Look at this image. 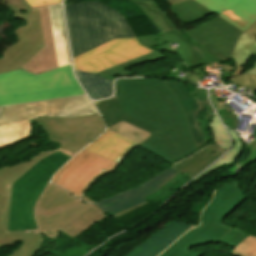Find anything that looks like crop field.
Masks as SVG:
<instances>
[{
  "mask_svg": "<svg viewBox=\"0 0 256 256\" xmlns=\"http://www.w3.org/2000/svg\"><path fill=\"white\" fill-rule=\"evenodd\" d=\"M241 31L256 21V4L251 0H195Z\"/></svg>",
  "mask_w": 256,
  "mask_h": 256,
  "instance_id": "crop-field-15",
  "label": "crop field"
},
{
  "mask_svg": "<svg viewBox=\"0 0 256 256\" xmlns=\"http://www.w3.org/2000/svg\"><path fill=\"white\" fill-rule=\"evenodd\" d=\"M247 236L248 234L245 231L233 228L230 232H228L224 237L220 239V242L235 248Z\"/></svg>",
  "mask_w": 256,
  "mask_h": 256,
  "instance_id": "crop-field-36",
  "label": "crop field"
},
{
  "mask_svg": "<svg viewBox=\"0 0 256 256\" xmlns=\"http://www.w3.org/2000/svg\"><path fill=\"white\" fill-rule=\"evenodd\" d=\"M105 217V213L96 207L72 221L61 231L75 238Z\"/></svg>",
  "mask_w": 256,
  "mask_h": 256,
  "instance_id": "crop-field-28",
  "label": "crop field"
},
{
  "mask_svg": "<svg viewBox=\"0 0 256 256\" xmlns=\"http://www.w3.org/2000/svg\"><path fill=\"white\" fill-rule=\"evenodd\" d=\"M170 45L177 44L175 49L181 60L188 66L200 65L229 57L207 40L196 28L190 31L164 33Z\"/></svg>",
  "mask_w": 256,
  "mask_h": 256,
  "instance_id": "crop-field-12",
  "label": "crop field"
},
{
  "mask_svg": "<svg viewBox=\"0 0 256 256\" xmlns=\"http://www.w3.org/2000/svg\"><path fill=\"white\" fill-rule=\"evenodd\" d=\"M252 1H254L256 3V0H252Z\"/></svg>",
  "mask_w": 256,
  "mask_h": 256,
  "instance_id": "crop-field-42",
  "label": "crop field"
},
{
  "mask_svg": "<svg viewBox=\"0 0 256 256\" xmlns=\"http://www.w3.org/2000/svg\"><path fill=\"white\" fill-rule=\"evenodd\" d=\"M140 44L145 47L153 50V53L138 57L136 59L130 60L118 66L112 67L105 71L97 73L100 77L108 78L110 80L114 79L115 75L119 74L121 76H128L130 72L125 71L124 69L130 67L134 64H140L145 62H150L156 59L164 58L165 56L161 53L163 50H166L170 53L175 54L173 49L169 46L166 40L163 38L161 34L139 37L137 38Z\"/></svg>",
  "mask_w": 256,
  "mask_h": 256,
  "instance_id": "crop-field-19",
  "label": "crop field"
},
{
  "mask_svg": "<svg viewBox=\"0 0 256 256\" xmlns=\"http://www.w3.org/2000/svg\"><path fill=\"white\" fill-rule=\"evenodd\" d=\"M32 130L30 121L0 127V148L31 137Z\"/></svg>",
  "mask_w": 256,
  "mask_h": 256,
  "instance_id": "crop-field-27",
  "label": "crop field"
},
{
  "mask_svg": "<svg viewBox=\"0 0 256 256\" xmlns=\"http://www.w3.org/2000/svg\"><path fill=\"white\" fill-rule=\"evenodd\" d=\"M14 33L19 41L3 52L0 73L22 68L44 47L38 7L32 8L26 25L17 28Z\"/></svg>",
  "mask_w": 256,
  "mask_h": 256,
  "instance_id": "crop-field-11",
  "label": "crop field"
},
{
  "mask_svg": "<svg viewBox=\"0 0 256 256\" xmlns=\"http://www.w3.org/2000/svg\"><path fill=\"white\" fill-rule=\"evenodd\" d=\"M253 55H256V23L240 36L231 58L238 69L256 74V62L255 67L250 70L244 67Z\"/></svg>",
  "mask_w": 256,
  "mask_h": 256,
  "instance_id": "crop-field-24",
  "label": "crop field"
},
{
  "mask_svg": "<svg viewBox=\"0 0 256 256\" xmlns=\"http://www.w3.org/2000/svg\"><path fill=\"white\" fill-rule=\"evenodd\" d=\"M210 97H211L213 105H214V107L216 108L217 111L226 107V106H223V104H221L220 101L217 98H215L213 88L210 90Z\"/></svg>",
  "mask_w": 256,
  "mask_h": 256,
  "instance_id": "crop-field-40",
  "label": "crop field"
},
{
  "mask_svg": "<svg viewBox=\"0 0 256 256\" xmlns=\"http://www.w3.org/2000/svg\"><path fill=\"white\" fill-rule=\"evenodd\" d=\"M217 113L221 117L224 125L228 126L235 132L236 127L239 122V121H237V115L234 116L232 114V111L230 109H228L227 107L218 111Z\"/></svg>",
  "mask_w": 256,
  "mask_h": 256,
  "instance_id": "crop-field-37",
  "label": "crop field"
},
{
  "mask_svg": "<svg viewBox=\"0 0 256 256\" xmlns=\"http://www.w3.org/2000/svg\"><path fill=\"white\" fill-rule=\"evenodd\" d=\"M228 59L210 63L213 67L221 66L225 75L221 78L224 82H233L241 87H250L251 91L256 90V75L239 71L234 64H228Z\"/></svg>",
  "mask_w": 256,
  "mask_h": 256,
  "instance_id": "crop-field-26",
  "label": "crop field"
},
{
  "mask_svg": "<svg viewBox=\"0 0 256 256\" xmlns=\"http://www.w3.org/2000/svg\"><path fill=\"white\" fill-rule=\"evenodd\" d=\"M58 65L70 64L65 23L61 5L49 6Z\"/></svg>",
  "mask_w": 256,
  "mask_h": 256,
  "instance_id": "crop-field-22",
  "label": "crop field"
},
{
  "mask_svg": "<svg viewBox=\"0 0 256 256\" xmlns=\"http://www.w3.org/2000/svg\"><path fill=\"white\" fill-rule=\"evenodd\" d=\"M82 94L70 65L39 75L20 69L0 74V106Z\"/></svg>",
  "mask_w": 256,
  "mask_h": 256,
  "instance_id": "crop-field-4",
  "label": "crop field"
},
{
  "mask_svg": "<svg viewBox=\"0 0 256 256\" xmlns=\"http://www.w3.org/2000/svg\"><path fill=\"white\" fill-rule=\"evenodd\" d=\"M209 126L213 128V132H214L215 142L213 144L219 145L225 149H228L230 146L229 137L226 134V132H225L220 120L216 116V114L214 115Z\"/></svg>",
  "mask_w": 256,
  "mask_h": 256,
  "instance_id": "crop-field-34",
  "label": "crop field"
},
{
  "mask_svg": "<svg viewBox=\"0 0 256 256\" xmlns=\"http://www.w3.org/2000/svg\"><path fill=\"white\" fill-rule=\"evenodd\" d=\"M33 121L46 131L50 141L60 143L59 151L71 157L105 129L99 114L76 118H40ZM55 151H46L27 162L0 169V248L23 242L8 256H33L41 241L38 230L7 232L12 184L41 158Z\"/></svg>",
  "mask_w": 256,
  "mask_h": 256,
  "instance_id": "crop-field-2",
  "label": "crop field"
},
{
  "mask_svg": "<svg viewBox=\"0 0 256 256\" xmlns=\"http://www.w3.org/2000/svg\"><path fill=\"white\" fill-rule=\"evenodd\" d=\"M93 207L94 204L88 205L50 183L37 204L35 214L41 233L54 241L58 230Z\"/></svg>",
  "mask_w": 256,
  "mask_h": 256,
  "instance_id": "crop-field-7",
  "label": "crop field"
},
{
  "mask_svg": "<svg viewBox=\"0 0 256 256\" xmlns=\"http://www.w3.org/2000/svg\"><path fill=\"white\" fill-rule=\"evenodd\" d=\"M138 145L107 130L101 137L85 148V150L116 164H121L129 152Z\"/></svg>",
  "mask_w": 256,
  "mask_h": 256,
  "instance_id": "crop-field-18",
  "label": "crop field"
},
{
  "mask_svg": "<svg viewBox=\"0 0 256 256\" xmlns=\"http://www.w3.org/2000/svg\"><path fill=\"white\" fill-rule=\"evenodd\" d=\"M195 227L193 224L171 222L158 230L144 245H139L126 256H157L181 234Z\"/></svg>",
  "mask_w": 256,
  "mask_h": 256,
  "instance_id": "crop-field-16",
  "label": "crop field"
},
{
  "mask_svg": "<svg viewBox=\"0 0 256 256\" xmlns=\"http://www.w3.org/2000/svg\"><path fill=\"white\" fill-rule=\"evenodd\" d=\"M179 173L173 169H168L133 190H129L105 200L95 203L104 212L112 215L116 219L147 204L143 197L158 191Z\"/></svg>",
  "mask_w": 256,
  "mask_h": 256,
  "instance_id": "crop-field-13",
  "label": "crop field"
},
{
  "mask_svg": "<svg viewBox=\"0 0 256 256\" xmlns=\"http://www.w3.org/2000/svg\"><path fill=\"white\" fill-rule=\"evenodd\" d=\"M66 1V0H65Z\"/></svg>",
  "mask_w": 256,
  "mask_h": 256,
  "instance_id": "crop-field-43",
  "label": "crop field"
},
{
  "mask_svg": "<svg viewBox=\"0 0 256 256\" xmlns=\"http://www.w3.org/2000/svg\"><path fill=\"white\" fill-rule=\"evenodd\" d=\"M231 137L233 138L234 141V147L232 150H230L225 156H223L218 162H216L213 166H211L208 170H206L204 173H202L200 176H198L196 179L193 180V182H198L208 174L226 166L230 162L234 161L235 159L238 158V156L242 152L243 144L241 140L236 136V134L232 133L228 129Z\"/></svg>",
  "mask_w": 256,
  "mask_h": 256,
  "instance_id": "crop-field-31",
  "label": "crop field"
},
{
  "mask_svg": "<svg viewBox=\"0 0 256 256\" xmlns=\"http://www.w3.org/2000/svg\"><path fill=\"white\" fill-rule=\"evenodd\" d=\"M73 59L112 40L135 37L124 17L98 1L65 4Z\"/></svg>",
  "mask_w": 256,
  "mask_h": 256,
  "instance_id": "crop-field-3",
  "label": "crop field"
},
{
  "mask_svg": "<svg viewBox=\"0 0 256 256\" xmlns=\"http://www.w3.org/2000/svg\"><path fill=\"white\" fill-rule=\"evenodd\" d=\"M202 34L223 52L231 56L241 31L220 17L197 27Z\"/></svg>",
  "mask_w": 256,
  "mask_h": 256,
  "instance_id": "crop-field-20",
  "label": "crop field"
},
{
  "mask_svg": "<svg viewBox=\"0 0 256 256\" xmlns=\"http://www.w3.org/2000/svg\"><path fill=\"white\" fill-rule=\"evenodd\" d=\"M183 1H185V0H166V2H167V4H168L169 7H171V6H173V5H176V4H178V3H181V2H183Z\"/></svg>",
  "mask_w": 256,
  "mask_h": 256,
  "instance_id": "crop-field-41",
  "label": "crop field"
},
{
  "mask_svg": "<svg viewBox=\"0 0 256 256\" xmlns=\"http://www.w3.org/2000/svg\"><path fill=\"white\" fill-rule=\"evenodd\" d=\"M239 182H230L216 190L214 199L202 213L201 224L179 238L160 256H201L189 248L219 240L232 227L221 223L247 197Z\"/></svg>",
  "mask_w": 256,
  "mask_h": 256,
  "instance_id": "crop-field-5",
  "label": "crop field"
},
{
  "mask_svg": "<svg viewBox=\"0 0 256 256\" xmlns=\"http://www.w3.org/2000/svg\"><path fill=\"white\" fill-rule=\"evenodd\" d=\"M163 82L173 91L178 102L180 103L186 115L189 129L198 149L209 144V140H205L201 128V121L210 120L214 113L207 100V90L197 88L194 90V92L190 93L185 84L171 81ZM205 105H207L212 111L206 116L201 117L198 113L202 112V107Z\"/></svg>",
  "mask_w": 256,
  "mask_h": 256,
  "instance_id": "crop-field-14",
  "label": "crop field"
},
{
  "mask_svg": "<svg viewBox=\"0 0 256 256\" xmlns=\"http://www.w3.org/2000/svg\"><path fill=\"white\" fill-rule=\"evenodd\" d=\"M31 7L61 3V0H26Z\"/></svg>",
  "mask_w": 256,
  "mask_h": 256,
  "instance_id": "crop-field-38",
  "label": "crop field"
},
{
  "mask_svg": "<svg viewBox=\"0 0 256 256\" xmlns=\"http://www.w3.org/2000/svg\"><path fill=\"white\" fill-rule=\"evenodd\" d=\"M170 9L176 15V17L185 24H188L193 20L214 14L193 0H188Z\"/></svg>",
  "mask_w": 256,
  "mask_h": 256,
  "instance_id": "crop-field-30",
  "label": "crop field"
},
{
  "mask_svg": "<svg viewBox=\"0 0 256 256\" xmlns=\"http://www.w3.org/2000/svg\"><path fill=\"white\" fill-rule=\"evenodd\" d=\"M95 106L99 110L102 117H104L107 128L121 121H124L151 134L157 130L149 125H146L127 116L116 101L115 97L110 100L101 101Z\"/></svg>",
  "mask_w": 256,
  "mask_h": 256,
  "instance_id": "crop-field-23",
  "label": "crop field"
},
{
  "mask_svg": "<svg viewBox=\"0 0 256 256\" xmlns=\"http://www.w3.org/2000/svg\"><path fill=\"white\" fill-rule=\"evenodd\" d=\"M71 157L56 152L36 163L13 184L8 231L37 229L34 205L57 170Z\"/></svg>",
  "mask_w": 256,
  "mask_h": 256,
  "instance_id": "crop-field-6",
  "label": "crop field"
},
{
  "mask_svg": "<svg viewBox=\"0 0 256 256\" xmlns=\"http://www.w3.org/2000/svg\"><path fill=\"white\" fill-rule=\"evenodd\" d=\"M108 130L115 132L121 136H124L128 139H131L137 143H141L142 141H144L147 137L150 136V134L139 130L133 126H130L124 122H121L115 126H112L110 128H108Z\"/></svg>",
  "mask_w": 256,
  "mask_h": 256,
  "instance_id": "crop-field-32",
  "label": "crop field"
},
{
  "mask_svg": "<svg viewBox=\"0 0 256 256\" xmlns=\"http://www.w3.org/2000/svg\"><path fill=\"white\" fill-rule=\"evenodd\" d=\"M118 166L83 150L64 165L51 181L81 198L99 177L113 172Z\"/></svg>",
  "mask_w": 256,
  "mask_h": 256,
  "instance_id": "crop-field-9",
  "label": "crop field"
},
{
  "mask_svg": "<svg viewBox=\"0 0 256 256\" xmlns=\"http://www.w3.org/2000/svg\"><path fill=\"white\" fill-rule=\"evenodd\" d=\"M136 3L152 20L161 33L177 30L168 17L164 14L155 0H129Z\"/></svg>",
  "mask_w": 256,
  "mask_h": 256,
  "instance_id": "crop-field-29",
  "label": "crop field"
},
{
  "mask_svg": "<svg viewBox=\"0 0 256 256\" xmlns=\"http://www.w3.org/2000/svg\"><path fill=\"white\" fill-rule=\"evenodd\" d=\"M233 256H256V237L248 236L233 252Z\"/></svg>",
  "mask_w": 256,
  "mask_h": 256,
  "instance_id": "crop-field-35",
  "label": "crop field"
},
{
  "mask_svg": "<svg viewBox=\"0 0 256 256\" xmlns=\"http://www.w3.org/2000/svg\"><path fill=\"white\" fill-rule=\"evenodd\" d=\"M116 98L127 115L159 129L140 144L144 148L170 162L197 149L180 105L162 81L119 79Z\"/></svg>",
  "mask_w": 256,
  "mask_h": 256,
  "instance_id": "crop-field-1",
  "label": "crop field"
},
{
  "mask_svg": "<svg viewBox=\"0 0 256 256\" xmlns=\"http://www.w3.org/2000/svg\"><path fill=\"white\" fill-rule=\"evenodd\" d=\"M39 12L45 47L23 67L34 74L58 67L48 6L39 8Z\"/></svg>",
  "mask_w": 256,
  "mask_h": 256,
  "instance_id": "crop-field-17",
  "label": "crop field"
},
{
  "mask_svg": "<svg viewBox=\"0 0 256 256\" xmlns=\"http://www.w3.org/2000/svg\"><path fill=\"white\" fill-rule=\"evenodd\" d=\"M97 111L86 96L6 106L0 109V126L40 117H76Z\"/></svg>",
  "mask_w": 256,
  "mask_h": 256,
  "instance_id": "crop-field-8",
  "label": "crop field"
},
{
  "mask_svg": "<svg viewBox=\"0 0 256 256\" xmlns=\"http://www.w3.org/2000/svg\"><path fill=\"white\" fill-rule=\"evenodd\" d=\"M152 52L136 38L112 40L73 60L75 69L97 73L130 59Z\"/></svg>",
  "mask_w": 256,
  "mask_h": 256,
  "instance_id": "crop-field-10",
  "label": "crop field"
},
{
  "mask_svg": "<svg viewBox=\"0 0 256 256\" xmlns=\"http://www.w3.org/2000/svg\"><path fill=\"white\" fill-rule=\"evenodd\" d=\"M256 160V142L254 143V145L251 147V154L250 156L242 161L240 163L239 169L241 170L242 168H244L246 165H248L249 163L253 162Z\"/></svg>",
  "mask_w": 256,
  "mask_h": 256,
  "instance_id": "crop-field-39",
  "label": "crop field"
},
{
  "mask_svg": "<svg viewBox=\"0 0 256 256\" xmlns=\"http://www.w3.org/2000/svg\"><path fill=\"white\" fill-rule=\"evenodd\" d=\"M224 151L225 149L210 144L197 154L174 165L171 168L175 169L180 174L191 179L197 173L202 171L206 166L211 164L215 159L221 156L224 153Z\"/></svg>",
  "mask_w": 256,
  "mask_h": 256,
  "instance_id": "crop-field-21",
  "label": "crop field"
},
{
  "mask_svg": "<svg viewBox=\"0 0 256 256\" xmlns=\"http://www.w3.org/2000/svg\"><path fill=\"white\" fill-rule=\"evenodd\" d=\"M78 80L92 99L108 97L112 94L111 81L96 74L75 70Z\"/></svg>",
  "mask_w": 256,
  "mask_h": 256,
  "instance_id": "crop-field-25",
  "label": "crop field"
},
{
  "mask_svg": "<svg viewBox=\"0 0 256 256\" xmlns=\"http://www.w3.org/2000/svg\"><path fill=\"white\" fill-rule=\"evenodd\" d=\"M0 4L8 7L14 19L25 20L31 10V7L25 0H0Z\"/></svg>",
  "mask_w": 256,
  "mask_h": 256,
  "instance_id": "crop-field-33",
  "label": "crop field"
}]
</instances>
